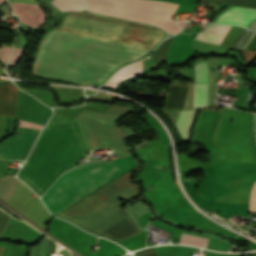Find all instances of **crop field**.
<instances>
[{
    "mask_svg": "<svg viewBox=\"0 0 256 256\" xmlns=\"http://www.w3.org/2000/svg\"><path fill=\"white\" fill-rule=\"evenodd\" d=\"M19 181L12 176L3 177L0 179V199L6 204L11 195L18 186Z\"/></svg>",
    "mask_w": 256,
    "mask_h": 256,
    "instance_id": "crop-field-10",
    "label": "crop field"
},
{
    "mask_svg": "<svg viewBox=\"0 0 256 256\" xmlns=\"http://www.w3.org/2000/svg\"><path fill=\"white\" fill-rule=\"evenodd\" d=\"M6 117L0 116V135L3 133V122L5 121Z\"/></svg>",
    "mask_w": 256,
    "mask_h": 256,
    "instance_id": "crop-field-21",
    "label": "crop field"
},
{
    "mask_svg": "<svg viewBox=\"0 0 256 256\" xmlns=\"http://www.w3.org/2000/svg\"><path fill=\"white\" fill-rule=\"evenodd\" d=\"M163 1L172 2V3H176V4H178V2H179V0H163Z\"/></svg>",
    "mask_w": 256,
    "mask_h": 256,
    "instance_id": "crop-field-22",
    "label": "crop field"
},
{
    "mask_svg": "<svg viewBox=\"0 0 256 256\" xmlns=\"http://www.w3.org/2000/svg\"><path fill=\"white\" fill-rule=\"evenodd\" d=\"M178 5L151 0H87V9L135 21L156 24L170 32H179L186 24L170 19Z\"/></svg>",
    "mask_w": 256,
    "mask_h": 256,
    "instance_id": "crop-field-4",
    "label": "crop field"
},
{
    "mask_svg": "<svg viewBox=\"0 0 256 256\" xmlns=\"http://www.w3.org/2000/svg\"><path fill=\"white\" fill-rule=\"evenodd\" d=\"M0 73L4 74L3 71L0 69Z\"/></svg>",
    "mask_w": 256,
    "mask_h": 256,
    "instance_id": "crop-field-23",
    "label": "crop field"
},
{
    "mask_svg": "<svg viewBox=\"0 0 256 256\" xmlns=\"http://www.w3.org/2000/svg\"><path fill=\"white\" fill-rule=\"evenodd\" d=\"M195 82H207L206 62H199L195 66Z\"/></svg>",
    "mask_w": 256,
    "mask_h": 256,
    "instance_id": "crop-field-15",
    "label": "crop field"
},
{
    "mask_svg": "<svg viewBox=\"0 0 256 256\" xmlns=\"http://www.w3.org/2000/svg\"><path fill=\"white\" fill-rule=\"evenodd\" d=\"M13 12L20 16V21L35 28L44 24L45 15L40 7L33 4L10 3Z\"/></svg>",
    "mask_w": 256,
    "mask_h": 256,
    "instance_id": "crop-field-6",
    "label": "crop field"
},
{
    "mask_svg": "<svg viewBox=\"0 0 256 256\" xmlns=\"http://www.w3.org/2000/svg\"><path fill=\"white\" fill-rule=\"evenodd\" d=\"M195 110L196 109L180 112L176 126H177L182 138H187V136H188L189 126L192 121Z\"/></svg>",
    "mask_w": 256,
    "mask_h": 256,
    "instance_id": "crop-field-12",
    "label": "crop field"
},
{
    "mask_svg": "<svg viewBox=\"0 0 256 256\" xmlns=\"http://www.w3.org/2000/svg\"><path fill=\"white\" fill-rule=\"evenodd\" d=\"M71 256H74V255H71Z\"/></svg>",
    "mask_w": 256,
    "mask_h": 256,
    "instance_id": "crop-field-25",
    "label": "crop field"
},
{
    "mask_svg": "<svg viewBox=\"0 0 256 256\" xmlns=\"http://www.w3.org/2000/svg\"><path fill=\"white\" fill-rule=\"evenodd\" d=\"M51 3L60 11L82 10L84 6V0H53Z\"/></svg>",
    "mask_w": 256,
    "mask_h": 256,
    "instance_id": "crop-field-13",
    "label": "crop field"
},
{
    "mask_svg": "<svg viewBox=\"0 0 256 256\" xmlns=\"http://www.w3.org/2000/svg\"><path fill=\"white\" fill-rule=\"evenodd\" d=\"M56 30L151 50L166 33L154 26L89 12L66 15ZM53 30L40 43L33 74L77 84L97 83L149 51Z\"/></svg>",
    "mask_w": 256,
    "mask_h": 256,
    "instance_id": "crop-field-1",
    "label": "crop field"
},
{
    "mask_svg": "<svg viewBox=\"0 0 256 256\" xmlns=\"http://www.w3.org/2000/svg\"><path fill=\"white\" fill-rule=\"evenodd\" d=\"M249 211L256 212V181L251 190L250 203H249Z\"/></svg>",
    "mask_w": 256,
    "mask_h": 256,
    "instance_id": "crop-field-16",
    "label": "crop field"
},
{
    "mask_svg": "<svg viewBox=\"0 0 256 256\" xmlns=\"http://www.w3.org/2000/svg\"><path fill=\"white\" fill-rule=\"evenodd\" d=\"M143 60L118 71L104 86L115 88L122 80L129 76L142 73Z\"/></svg>",
    "mask_w": 256,
    "mask_h": 256,
    "instance_id": "crop-field-9",
    "label": "crop field"
},
{
    "mask_svg": "<svg viewBox=\"0 0 256 256\" xmlns=\"http://www.w3.org/2000/svg\"><path fill=\"white\" fill-rule=\"evenodd\" d=\"M207 105V83H193V108Z\"/></svg>",
    "mask_w": 256,
    "mask_h": 256,
    "instance_id": "crop-field-11",
    "label": "crop field"
},
{
    "mask_svg": "<svg viewBox=\"0 0 256 256\" xmlns=\"http://www.w3.org/2000/svg\"><path fill=\"white\" fill-rule=\"evenodd\" d=\"M88 149L75 117L61 126H45L18 177L39 196Z\"/></svg>",
    "mask_w": 256,
    "mask_h": 256,
    "instance_id": "crop-field-2",
    "label": "crop field"
},
{
    "mask_svg": "<svg viewBox=\"0 0 256 256\" xmlns=\"http://www.w3.org/2000/svg\"><path fill=\"white\" fill-rule=\"evenodd\" d=\"M40 130L19 127L17 133L0 144V157L25 160Z\"/></svg>",
    "mask_w": 256,
    "mask_h": 256,
    "instance_id": "crop-field-5",
    "label": "crop field"
},
{
    "mask_svg": "<svg viewBox=\"0 0 256 256\" xmlns=\"http://www.w3.org/2000/svg\"><path fill=\"white\" fill-rule=\"evenodd\" d=\"M256 18V9L232 7L222 12L216 22L226 24H239L247 27L252 19Z\"/></svg>",
    "mask_w": 256,
    "mask_h": 256,
    "instance_id": "crop-field-7",
    "label": "crop field"
},
{
    "mask_svg": "<svg viewBox=\"0 0 256 256\" xmlns=\"http://www.w3.org/2000/svg\"><path fill=\"white\" fill-rule=\"evenodd\" d=\"M4 0H0V3H2Z\"/></svg>",
    "mask_w": 256,
    "mask_h": 256,
    "instance_id": "crop-field-24",
    "label": "crop field"
},
{
    "mask_svg": "<svg viewBox=\"0 0 256 256\" xmlns=\"http://www.w3.org/2000/svg\"><path fill=\"white\" fill-rule=\"evenodd\" d=\"M135 166L136 162L129 156L68 172L54 183L42 200L56 216Z\"/></svg>",
    "mask_w": 256,
    "mask_h": 256,
    "instance_id": "crop-field-3",
    "label": "crop field"
},
{
    "mask_svg": "<svg viewBox=\"0 0 256 256\" xmlns=\"http://www.w3.org/2000/svg\"><path fill=\"white\" fill-rule=\"evenodd\" d=\"M229 28L227 25L207 24L204 31H199L195 38L220 44Z\"/></svg>",
    "mask_w": 256,
    "mask_h": 256,
    "instance_id": "crop-field-8",
    "label": "crop field"
},
{
    "mask_svg": "<svg viewBox=\"0 0 256 256\" xmlns=\"http://www.w3.org/2000/svg\"><path fill=\"white\" fill-rule=\"evenodd\" d=\"M20 126L41 129L43 126L19 120Z\"/></svg>",
    "mask_w": 256,
    "mask_h": 256,
    "instance_id": "crop-field-19",
    "label": "crop field"
},
{
    "mask_svg": "<svg viewBox=\"0 0 256 256\" xmlns=\"http://www.w3.org/2000/svg\"><path fill=\"white\" fill-rule=\"evenodd\" d=\"M24 49L15 48L8 63L16 64L17 60L20 59Z\"/></svg>",
    "mask_w": 256,
    "mask_h": 256,
    "instance_id": "crop-field-17",
    "label": "crop field"
},
{
    "mask_svg": "<svg viewBox=\"0 0 256 256\" xmlns=\"http://www.w3.org/2000/svg\"><path fill=\"white\" fill-rule=\"evenodd\" d=\"M208 239L182 233L180 243L193 244L206 248Z\"/></svg>",
    "mask_w": 256,
    "mask_h": 256,
    "instance_id": "crop-field-14",
    "label": "crop field"
},
{
    "mask_svg": "<svg viewBox=\"0 0 256 256\" xmlns=\"http://www.w3.org/2000/svg\"><path fill=\"white\" fill-rule=\"evenodd\" d=\"M247 50H255L256 51V37L254 38V40L252 41L250 46L247 48Z\"/></svg>",
    "mask_w": 256,
    "mask_h": 256,
    "instance_id": "crop-field-20",
    "label": "crop field"
},
{
    "mask_svg": "<svg viewBox=\"0 0 256 256\" xmlns=\"http://www.w3.org/2000/svg\"><path fill=\"white\" fill-rule=\"evenodd\" d=\"M11 48L12 47H4V48L0 49V58H2L5 62H7V60H8Z\"/></svg>",
    "mask_w": 256,
    "mask_h": 256,
    "instance_id": "crop-field-18",
    "label": "crop field"
}]
</instances>
